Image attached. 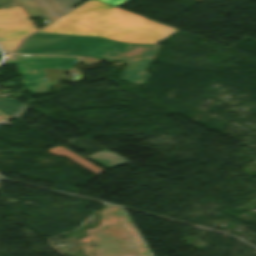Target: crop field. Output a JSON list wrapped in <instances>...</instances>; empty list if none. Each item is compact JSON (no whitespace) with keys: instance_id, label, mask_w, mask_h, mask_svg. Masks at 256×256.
<instances>
[{"instance_id":"obj_1","label":"crop field","mask_w":256,"mask_h":256,"mask_svg":"<svg viewBox=\"0 0 256 256\" xmlns=\"http://www.w3.org/2000/svg\"><path fill=\"white\" fill-rule=\"evenodd\" d=\"M177 30L103 2L89 0L38 32L156 44Z\"/></svg>"},{"instance_id":"obj_2","label":"crop field","mask_w":256,"mask_h":256,"mask_svg":"<svg viewBox=\"0 0 256 256\" xmlns=\"http://www.w3.org/2000/svg\"><path fill=\"white\" fill-rule=\"evenodd\" d=\"M161 45L125 44L101 37L67 36L35 33L23 40L14 53L40 55H82L128 63L120 80L145 85V72Z\"/></svg>"},{"instance_id":"obj_3","label":"crop field","mask_w":256,"mask_h":256,"mask_svg":"<svg viewBox=\"0 0 256 256\" xmlns=\"http://www.w3.org/2000/svg\"><path fill=\"white\" fill-rule=\"evenodd\" d=\"M101 214V224L86 229L88 237L80 243L92 242L99 247L83 246V252L96 256H153L124 209L106 205ZM128 222H125V221Z\"/></svg>"},{"instance_id":"obj_4","label":"crop field","mask_w":256,"mask_h":256,"mask_svg":"<svg viewBox=\"0 0 256 256\" xmlns=\"http://www.w3.org/2000/svg\"><path fill=\"white\" fill-rule=\"evenodd\" d=\"M78 60L79 58L13 55L5 62L17 65L23 75L22 80L31 93L48 94L49 87L56 84L47 83L43 68L71 69Z\"/></svg>"},{"instance_id":"obj_5","label":"crop field","mask_w":256,"mask_h":256,"mask_svg":"<svg viewBox=\"0 0 256 256\" xmlns=\"http://www.w3.org/2000/svg\"><path fill=\"white\" fill-rule=\"evenodd\" d=\"M35 30L37 27L21 6L0 9V47L6 55L10 54L22 38Z\"/></svg>"},{"instance_id":"obj_6","label":"crop field","mask_w":256,"mask_h":256,"mask_svg":"<svg viewBox=\"0 0 256 256\" xmlns=\"http://www.w3.org/2000/svg\"><path fill=\"white\" fill-rule=\"evenodd\" d=\"M87 158L107 169H111L130 162L129 160L121 158V156L109 150H104L102 152L92 154L87 156Z\"/></svg>"},{"instance_id":"obj_7","label":"crop field","mask_w":256,"mask_h":256,"mask_svg":"<svg viewBox=\"0 0 256 256\" xmlns=\"http://www.w3.org/2000/svg\"><path fill=\"white\" fill-rule=\"evenodd\" d=\"M0 110L20 121L22 116L28 110V107L6 97L0 100Z\"/></svg>"},{"instance_id":"obj_8","label":"crop field","mask_w":256,"mask_h":256,"mask_svg":"<svg viewBox=\"0 0 256 256\" xmlns=\"http://www.w3.org/2000/svg\"><path fill=\"white\" fill-rule=\"evenodd\" d=\"M49 152L57 155V156H65L66 158L78 163L79 165L87 168L88 170L96 173V174H100L101 172H103V170L97 168L96 166L92 165L91 163L85 161L84 159L80 158L79 156L73 154L72 152L68 151L67 149L59 146L56 147L54 149L48 150Z\"/></svg>"},{"instance_id":"obj_9","label":"crop field","mask_w":256,"mask_h":256,"mask_svg":"<svg viewBox=\"0 0 256 256\" xmlns=\"http://www.w3.org/2000/svg\"><path fill=\"white\" fill-rule=\"evenodd\" d=\"M27 13L29 18L43 16L48 24L52 23L47 16L41 11L33 0H16Z\"/></svg>"},{"instance_id":"obj_10","label":"crop field","mask_w":256,"mask_h":256,"mask_svg":"<svg viewBox=\"0 0 256 256\" xmlns=\"http://www.w3.org/2000/svg\"><path fill=\"white\" fill-rule=\"evenodd\" d=\"M50 1L63 16L87 0H50Z\"/></svg>"},{"instance_id":"obj_11","label":"crop field","mask_w":256,"mask_h":256,"mask_svg":"<svg viewBox=\"0 0 256 256\" xmlns=\"http://www.w3.org/2000/svg\"><path fill=\"white\" fill-rule=\"evenodd\" d=\"M19 4L15 0H0V8L18 6Z\"/></svg>"},{"instance_id":"obj_12","label":"crop field","mask_w":256,"mask_h":256,"mask_svg":"<svg viewBox=\"0 0 256 256\" xmlns=\"http://www.w3.org/2000/svg\"><path fill=\"white\" fill-rule=\"evenodd\" d=\"M100 1H103L108 4L119 7V6L123 5L124 3L128 2L129 0H100ZM200 1H202V0H200Z\"/></svg>"},{"instance_id":"obj_13","label":"crop field","mask_w":256,"mask_h":256,"mask_svg":"<svg viewBox=\"0 0 256 256\" xmlns=\"http://www.w3.org/2000/svg\"><path fill=\"white\" fill-rule=\"evenodd\" d=\"M100 62L102 61H96V60L87 59V58H82L80 60V63H83V64L100 63Z\"/></svg>"},{"instance_id":"obj_14","label":"crop field","mask_w":256,"mask_h":256,"mask_svg":"<svg viewBox=\"0 0 256 256\" xmlns=\"http://www.w3.org/2000/svg\"><path fill=\"white\" fill-rule=\"evenodd\" d=\"M9 118H11V117L8 116V115H6V114H4V113H2V112L0 111V121H5V120H7V119H9Z\"/></svg>"}]
</instances>
